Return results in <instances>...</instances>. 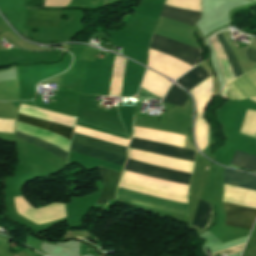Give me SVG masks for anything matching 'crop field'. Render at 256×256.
Returning <instances> with one entry per match:
<instances>
[{"instance_id":"f4fd0767","label":"crop field","mask_w":256,"mask_h":256,"mask_svg":"<svg viewBox=\"0 0 256 256\" xmlns=\"http://www.w3.org/2000/svg\"><path fill=\"white\" fill-rule=\"evenodd\" d=\"M17 121L57 133L65 138H67L68 140L71 139V135H72V131H73L72 128H68V127H65L62 125H58L55 123L47 122L44 120H40V119H36V118H32V117H28V116H24V115H20V114H18ZM16 138L19 140H22L24 142H27L29 144L41 147V148L51 152L52 154L58 156L61 160L66 162L67 153L54 145H51V144H49L43 140L37 139L35 137L21 134L19 132H16Z\"/></svg>"},{"instance_id":"28ad6ade","label":"crop field","mask_w":256,"mask_h":256,"mask_svg":"<svg viewBox=\"0 0 256 256\" xmlns=\"http://www.w3.org/2000/svg\"><path fill=\"white\" fill-rule=\"evenodd\" d=\"M187 98L188 96L184 93V91L179 89L176 85L173 84V86L165 96L163 102L183 106Z\"/></svg>"},{"instance_id":"d1516ede","label":"crop field","mask_w":256,"mask_h":256,"mask_svg":"<svg viewBox=\"0 0 256 256\" xmlns=\"http://www.w3.org/2000/svg\"><path fill=\"white\" fill-rule=\"evenodd\" d=\"M232 164L256 170V157L250 154L237 151L232 161Z\"/></svg>"},{"instance_id":"d9b57169","label":"crop field","mask_w":256,"mask_h":256,"mask_svg":"<svg viewBox=\"0 0 256 256\" xmlns=\"http://www.w3.org/2000/svg\"><path fill=\"white\" fill-rule=\"evenodd\" d=\"M245 74L256 85V68Z\"/></svg>"},{"instance_id":"412701ff","label":"crop field","mask_w":256,"mask_h":256,"mask_svg":"<svg viewBox=\"0 0 256 256\" xmlns=\"http://www.w3.org/2000/svg\"><path fill=\"white\" fill-rule=\"evenodd\" d=\"M224 184L256 190V177L224 169ZM223 205L225 225L251 229L256 218V209L225 202Z\"/></svg>"},{"instance_id":"22f410ed","label":"crop field","mask_w":256,"mask_h":256,"mask_svg":"<svg viewBox=\"0 0 256 256\" xmlns=\"http://www.w3.org/2000/svg\"><path fill=\"white\" fill-rule=\"evenodd\" d=\"M20 2L24 8L44 9L42 7L43 0H20Z\"/></svg>"},{"instance_id":"e52e79f7","label":"crop field","mask_w":256,"mask_h":256,"mask_svg":"<svg viewBox=\"0 0 256 256\" xmlns=\"http://www.w3.org/2000/svg\"><path fill=\"white\" fill-rule=\"evenodd\" d=\"M211 76L212 75L209 72L197 66L189 73L181 77L179 80H177L176 83L189 90Z\"/></svg>"},{"instance_id":"cbeb9de0","label":"crop field","mask_w":256,"mask_h":256,"mask_svg":"<svg viewBox=\"0 0 256 256\" xmlns=\"http://www.w3.org/2000/svg\"><path fill=\"white\" fill-rule=\"evenodd\" d=\"M15 121L0 120V131L14 133Z\"/></svg>"},{"instance_id":"5142ce71","label":"crop field","mask_w":256,"mask_h":256,"mask_svg":"<svg viewBox=\"0 0 256 256\" xmlns=\"http://www.w3.org/2000/svg\"><path fill=\"white\" fill-rule=\"evenodd\" d=\"M242 248H243V245H239V246L233 247V248L225 250V251L214 253L213 255L220 254V253L232 254V253L240 252L242 250Z\"/></svg>"},{"instance_id":"5a996713","label":"crop field","mask_w":256,"mask_h":256,"mask_svg":"<svg viewBox=\"0 0 256 256\" xmlns=\"http://www.w3.org/2000/svg\"><path fill=\"white\" fill-rule=\"evenodd\" d=\"M210 215H211L210 205L203 201H200L192 226L200 230L204 229L209 224Z\"/></svg>"},{"instance_id":"34b2d1b8","label":"crop field","mask_w":256,"mask_h":256,"mask_svg":"<svg viewBox=\"0 0 256 256\" xmlns=\"http://www.w3.org/2000/svg\"><path fill=\"white\" fill-rule=\"evenodd\" d=\"M161 17L168 18L180 23L194 26L195 22L201 18L200 12L189 11L176 7L164 5ZM151 49L170 55L178 60H181L191 66L199 58V50L186 46L180 42H175L163 38L161 36L153 35Z\"/></svg>"},{"instance_id":"733c2abd","label":"crop field","mask_w":256,"mask_h":256,"mask_svg":"<svg viewBox=\"0 0 256 256\" xmlns=\"http://www.w3.org/2000/svg\"><path fill=\"white\" fill-rule=\"evenodd\" d=\"M247 56L249 59L256 60V50L248 48Z\"/></svg>"},{"instance_id":"3316defc","label":"crop field","mask_w":256,"mask_h":256,"mask_svg":"<svg viewBox=\"0 0 256 256\" xmlns=\"http://www.w3.org/2000/svg\"><path fill=\"white\" fill-rule=\"evenodd\" d=\"M246 98L256 96V87L245 74L230 81Z\"/></svg>"},{"instance_id":"8a807250","label":"crop field","mask_w":256,"mask_h":256,"mask_svg":"<svg viewBox=\"0 0 256 256\" xmlns=\"http://www.w3.org/2000/svg\"><path fill=\"white\" fill-rule=\"evenodd\" d=\"M72 141L126 157V147L118 146L115 144L100 141L97 139H93V138L82 136L75 133L73 134ZM73 142H72V147L70 149L71 151H75L87 156L99 158V159H102L114 164L122 165V166L126 161L125 157L114 155L108 152H104L101 150H97V149L90 148V147L73 143ZM98 169L104 178V186H103L102 193L98 199V202L112 200L114 199L116 187L121 174L110 171V170H106L103 168H98Z\"/></svg>"},{"instance_id":"d8731c3e","label":"crop field","mask_w":256,"mask_h":256,"mask_svg":"<svg viewBox=\"0 0 256 256\" xmlns=\"http://www.w3.org/2000/svg\"><path fill=\"white\" fill-rule=\"evenodd\" d=\"M218 43H219V46L223 52V55L226 59V62L230 68V71L233 75V77L235 78L236 76L240 75V71H239V67H238V64L236 62V59L234 57V54L232 52V50L230 49V46L227 42V40L225 39V36H224V33H219L217 35H215Z\"/></svg>"},{"instance_id":"ac0d7876","label":"crop field","mask_w":256,"mask_h":256,"mask_svg":"<svg viewBox=\"0 0 256 256\" xmlns=\"http://www.w3.org/2000/svg\"><path fill=\"white\" fill-rule=\"evenodd\" d=\"M130 148L153 152V153H157L159 155H163L171 158L194 162V155H195L194 151H190V150H186V149H182V148H178L170 145L133 138ZM125 169L150 175V176H154V177H159V178L187 184V185H189V179L191 176V174L181 173V172L169 170L162 167H156V166H152L149 164H145L142 162L133 161L129 159L127 160Z\"/></svg>"},{"instance_id":"bc2a9ffb","label":"crop field","mask_w":256,"mask_h":256,"mask_svg":"<svg viewBox=\"0 0 256 256\" xmlns=\"http://www.w3.org/2000/svg\"><path fill=\"white\" fill-rule=\"evenodd\" d=\"M121 94H119V96H120Z\"/></svg>"},{"instance_id":"dd49c442","label":"crop field","mask_w":256,"mask_h":256,"mask_svg":"<svg viewBox=\"0 0 256 256\" xmlns=\"http://www.w3.org/2000/svg\"><path fill=\"white\" fill-rule=\"evenodd\" d=\"M61 11L30 10L26 26L57 27Z\"/></svg>"},{"instance_id":"4a817a6b","label":"crop field","mask_w":256,"mask_h":256,"mask_svg":"<svg viewBox=\"0 0 256 256\" xmlns=\"http://www.w3.org/2000/svg\"><path fill=\"white\" fill-rule=\"evenodd\" d=\"M235 46H236V44L235 43H233ZM237 47V46H236Z\"/></svg>"}]
</instances>
